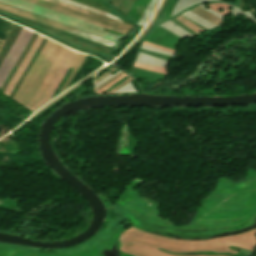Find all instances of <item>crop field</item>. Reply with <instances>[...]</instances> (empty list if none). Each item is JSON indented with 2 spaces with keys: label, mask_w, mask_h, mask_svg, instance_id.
<instances>
[{
  "label": "crop field",
  "mask_w": 256,
  "mask_h": 256,
  "mask_svg": "<svg viewBox=\"0 0 256 256\" xmlns=\"http://www.w3.org/2000/svg\"><path fill=\"white\" fill-rule=\"evenodd\" d=\"M14 23L0 17V40L4 41Z\"/></svg>",
  "instance_id": "obj_2"
},
{
  "label": "crop field",
  "mask_w": 256,
  "mask_h": 256,
  "mask_svg": "<svg viewBox=\"0 0 256 256\" xmlns=\"http://www.w3.org/2000/svg\"><path fill=\"white\" fill-rule=\"evenodd\" d=\"M26 29L23 28L19 37L17 36V40L15 41L2 65L0 64V86L10 72L13 65L15 64L16 60L20 56L21 52L25 48L26 44L30 40L31 36L33 35V32Z\"/></svg>",
  "instance_id": "obj_1"
}]
</instances>
